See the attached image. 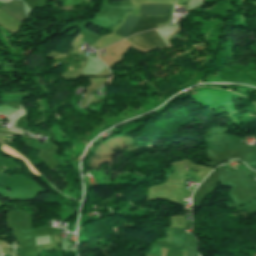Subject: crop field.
I'll use <instances>...</instances> for the list:
<instances>
[{
  "label": "crop field",
  "instance_id": "1",
  "mask_svg": "<svg viewBox=\"0 0 256 256\" xmlns=\"http://www.w3.org/2000/svg\"><path fill=\"white\" fill-rule=\"evenodd\" d=\"M138 19H139V17L126 16L122 26L117 29L115 34L125 38L129 34V32L134 28ZM168 19L169 18H142V17H140L135 28L130 32L129 35L156 28L157 26L155 24L166 22V21H168Z\"/></svg>",
  "mask_w": 256,
  "mask_h": 256
},
{
  "label": "crop field",
  "instance_id": "2",
  "mask_svg": "<svg viewBox=\"0 0 256 256\" xmlns=\"http://www.w3.org/2000/svg\"><path fill=\"white\" fill-rule=\"evenodd\" d=\"M127 40L134 43L136 46L147 49L152 46L154 47H167V45L156 35L155 31H149L134 35Z\"/></svg>",
  "mask_w": 256,
  "mask_h": 256
},
{
  "label": "crop field",
  "instance_id": "3",
  "mask_svg": "<svg viewBox=\"0 0 256 256\" xmlns=\"http://www.w3.org/2000/svg\"><path fill=\"white\" fill-rule=\"evenodd\" d=\"M0 10L8 14L10 17L15 19L17 22L21 23L24 21L25 17L23 14L22 2L12 0L5 3L0 7Z\"/></svg>",
  "mask_w": 256,
  "mask_h": 256
},
{
  "label": "crop field",
  "instance_id": "4",
  "mask_svg": "<svg viewBox=\"0 0 256 256\" xmlns=\"http://www.w3.org/2000/svg\"><path fill=\"white\" fill-rule=\"evenodd\" d=\"M170 5L146 4L140 5L139 15H166Z\"/></svg>",
  "mask_w": 256,
  "mask_h": 256
},
{
  "label": "crop field",
  "instance_id": "5",
  "mask_svg": "<svg viewBox=\"0 0 256 256\" xmlns=\"http://www.w3.org/2000/svg\"><path fill=\"white\" fill-rule=\"evenodd\" d=\"M256 6V2L253 3Z\"/></svg>",
  "mask_w": 256,
  "mask_h": 256
}]
</instances>
